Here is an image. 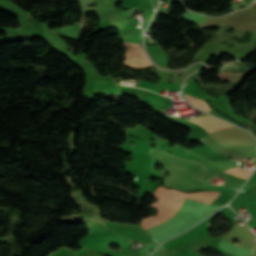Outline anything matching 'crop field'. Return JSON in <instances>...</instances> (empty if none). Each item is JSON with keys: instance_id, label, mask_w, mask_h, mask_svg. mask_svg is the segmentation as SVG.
Wrapping results in <instances>:
<instances>
[{"instance_id": "obj_1", "label": "crop field", "mask_w": 256, "mask_h": 256, "mask_svg": "<svg viewBox=\"0 0 256 256\" xmlns=\"http://www.w3.org/2000/svg\"><path fill=\"white\" fill-rule=\"evenodd\" d=\"M171 192H172V190H166L162 187H158L156 189V191L154 192V195L157 196L159 198V200L156 203H153L151 206L156 207L157 210L160 211V209L165 205L166 201L168 200ZM186 194L187 193H184L183 196L181 197L182 192H178V191L173 190V192H172L169 200L167 201L166 205L162 208V210L158 213L157 216L142 218V220H141L142 227L147 225V224L158 221V220L164 218L165 216H167L169 213H171L172 210L175 208L177 202L179 201L180 197H181V199H180L179 203L177 204L176 208L174 209V211L170 215H168L167 217H165L164 219H162L158 222H155L153 224H150V225L144 227V229L155 226V225L171 218L172 216H174L176 214L177 210L179 209L181 203L183 202Z\"/></svg>"}, {"instance_id": "obj_2", "label": "crop field", "mask_w": 256, "mask_h": 256, "mask_svg": "<svg viewBox=\"0 0 256 256\" xmlns=\"http://www.w3.org/2000/svg\"><path fill=\"white\" fill-rule=\"evenodd\" d=\"M124 44L126 47V58H125L124 64L132 67H135V64H136V68H142V67L153 65L145 55L142 49V45L137 43H133L134 55H135V64H134L132 43L124 42Z\"/></svg>"}, {"instance_id": "obj_3", "label": "crop field", "mask_w": 256, "mask_h": 256, "mask_svg": "<svg viewBox=\"0 0 256 256\" xmlns=\"http://www.w3.org/2000/svg\"><path fill=\"white\" fill-rule=\"evenodd\" d=\"M190 121L200 124L201 126L206 128L208 130V132L214 131L217 129H221V128H225L228 126H232V125H230L226 122H223V121H221L213 116H210V115L203 116V117L193 119Z\"/></svg>"}, {"instance_id": "obj_4", "label": "crop field", "mask_w": 256, "mask_h": 256, "mask_svg": "<svg viewBox=\"0 0 256 256\" xmlns=\"http://www.w3.org/2000/svg\"><path fill=\"white\" fill-rule=\"evenodd\" d=\"M221 192H195L188 193L187 198L210 204L220 196Z\"/></svg>"}, {"instance_id": "obj_5", "label": "crop field", "mask_w": 256, "mask_h": 256, "mask_svg": "<svg viewBox=\"0 0 256 256\" xmlns=\"http://www.w3.org/2000/svg\"><path fill=\"white\" fill-rule=\"evenodd\" d=\"M225 172H228V173L234 174L236 176L247 179V177L252 172V170H243V169H240L239 167H237V168L225 171Z\"/></svg>"}, {"instance_id": "obj_6", "label": "crop field", "mask_w": 256, "mask_h": 256, "mask_svg": "<svg viewBox=\"0 0 256 256\" xmlns=\"http://www.w3.org/2000/svg\"><path fill=\"white\" fill-rule=\"evenodd\" d=\"M138 87L147 88V89L153 90L158 93H160V91H161V89L158 86L154 85L151 82L139 81Z\"/></svg>"}, {"instance_id": "obj_7", "label": "crop field", "mask_w": 256, "mask_h": 256, "mask_svg": "<svg viewBox=\"0 0 256 256\" xmlns=\"http://www.w3.org/2000/svg\"><path fill=\"white\" fill-rule=\"evenodd\" d=\"M79 1L82 8V14L84 15L91 8V7H88V5H90L93 2V0H79Z\"/></svg>"}, {"instance_id": "obj_8", "label": "crop field", "mask_w": 256, "mask_h": 256, "mask_svg": "<svg viewBox=\"0 0 256 256\" xmlns=\"http://www.w3.org/2000/svg\"><path fill=\"white\" fill-rule=\"evenodd\" d=\"M226 77H232V76H246L250 72H241V73H230V72H224ZM223 72H219L220 77H225Z\"/></svg>"}, {"instance_id": "obj_9", "label": "crop field", "mask_w": 256, "mask_h": 256, "mask_svg": "<svg viewBox=\"0 0 256 256\" xmlns=\"http://www.w3.org/2000/svg\"><path fill=\"white\" fill-rule=\"evenodd\" d=\"M149 44H153L152 40L149 38Z\"/></svg>"}, {"instance_id": "obj_10", "label": "crop field", "mask_w": 256, "mask_h": 256, "mask_svg": "<svg viewBox=\"0 0 256 256\" xmlns=\"http://www.w3.org/2000/svg\"><path fill=\"white\" fill-rule=\"evenodd\" d=\"M75 24L78 25L79 27H80V25H81L80 23H75Z\"/></svg>"}, {"instance_id": "obj_11", "label": "crop field", "mask_w": 256, "mask_h": 256, "mask_svg": "<svg viewBox=\"0 0 256 256\" xmlns=\"http://www.w3.org/2000/svg\"><path fill=\"white\" fill-rule=\"evenodd\" d=\"M185 14H187V13H185ZM187 15H190V14H187ZM190 16H192V17H193V15H190Z\"/></svg>"}, {"instance_id": "obj_12", "label": "crop field", "mask_w": 256, "mask_h": 256, "mask_svg": "<svg viewBox=\"0 0 256 256\" xmlns=\"http://www.w3.org/2000/svg\"><path fill=\"white\" fill-rule=\"evenodd\" d=\"M130 242H131V241H130ZM130 242H129V243H130Z\"/></svg>"}]
</instances>
